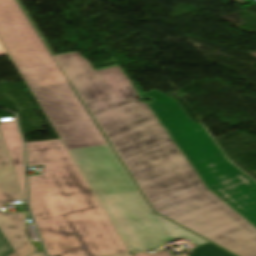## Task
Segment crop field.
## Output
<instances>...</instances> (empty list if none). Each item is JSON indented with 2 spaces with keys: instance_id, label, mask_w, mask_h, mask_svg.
I'll return each instance as SVG.
<instances>
[{
  "instance_id": "crop-field-11",
  "label": "crop field",
  "mask_w": 256,
  "mask_h": 256,
  "mask_svg": "<svg viewBox=\"0 0 256 256\" xmlns=\"http://www.w3.org/2000/svg\"><path fill=\"white\" fill-rule=\"evenodd\" d=\"M7 52L5 51V49L3 48V46L0 43V55H6Z\"/></svg>"
},
{
  "instance_id": "crop-field-4",
  "label": "crop field",
  "mask_w": 256,
  "mask_h": 256,
  "mask_svg": "<svg viewBox=\"0 0 256 256\" xmlns=\"http://www.w3.org/2000/svg\"><path fill=\"white\" fill-rule=\"evenodd\" d=\"M204 182L256 225V183L224 157L199 123L177 101L154 90L143 95Z\"/></svg>"
},
{
  "instance_id": "crop-field-9",
  "label": "crop field",
  "mask_w": 256,
  "mask_h": 256,
  "mask_svg": "<svg viewBox=\"0 0 256 256\" xmlns=\"http://www.w3.org/2000/svg\"><path fill=\"white\" fill-rule=\"evenodd\" d=\"M13 249L0 232V256H8L13 253Z\"/></svg>"
},
{
  "instance_id": "crop-field-10",
  "label": "crop field",
  "mask_w": 256,
  "mask_h": 256,
  "mask_svg": "<svg viewBox=\"0 0 256 256\" xmlns=\"http://www.w3.org/2000/svg\"><path fill=\"white\" fill-rule=\"evenodd\" d=\"M132 256H172V255L168 251L162 250L154 254L143 253V254H133ZM178 256H184V255H178Z\"/></svg>"
},
{
  "instance_id": "crop-field-1",
  "label": "crop field",
  "mask_w": 256,
  "mask_h": 256,
  "mask_svg": "<svg viewBox=\"0 0 256 256\" xmlns=\"http://www.w3.org/2000/svg\"><path fill=\"white\" fill-rule=\"evenodd\" d=\"M16 1L155 211L239 256H256V229L203 185L119 66L95 72L78 52L55 55Z\"/></svg>"
},
{
  "instance_id": "crop-field-8",
  "label": "crop field",
  "mask_w": 256,
  "mask_h": 256,
  "mask_svg": "<svg viewBox=\"0 0 256 256\" xmlns=\"http://www.w3.org/2000/svg\"><path fill=\"white\" fill-rule=\"evenodd\" d=\"M6 145L22 143L16 122L0 124Z\"/></svg>"
},
{
  "instance_id": "crop-field-13",
  "label": "crop field",
  "mask_w": 256,
  "mask_h": 256,
  "mask_svg": "<svg viewBox=\"0 0 256 256\" xmlns=\"http://www.w3.org/2000/svg\"><path fill=\"white\" fill-rule=\"evenodd\" d=\"M29 256H39V255H38V252H34V253L30 254Z\"/></svg>"
},
{
  "instance_id": "crop-field-12",
  "label": "crop field",
  "mask_w": 256,
  "mask_h": 256,
  "mask_svg": "<svg viewBox=\"0 0 256 256\" xmlns=\"http://www.w3.org/2000/svg\"><path fill=\"white\" fill-rule=\"evenodd\" d=\"M34 244L39 248L40 251L42 250V248L38 242H34Z\"/></svg>"
},
{
  "instance_id": "crop-field-5",
  "label": "crop field",
  "mask_w": 256,
  "mask_h": 256,
  "mask_svg": "<svg viewBox=\"0 0 256 256\" xmlns=\"http://www.w3.org/2000/svg\"><path fill=\"white\" fill-rule=\"evenodd\" d=\"M2 207L4 206H0ZM0 230L15 250L10 256H27L36 251L26 236L23 212L1 213L0 211Z\"/></svg>"
},
{
  "instance_id": "crop-field-14",
  "label": "crop field",
  "mask_w": 256,
  "mask_h": 256,
  "mask_svg": "<svg viewBox=\"0 0 256 256\" xmlns=\"http://www.w3.org/2000/svg\"><path fill=\"white\" fill-rule=\"evenodd\" d=\"M115 256H131L130 254L115 255Z\"/></svg>"
},
{
  "instance_id": "crop-field-2",
  "label": "crop field",
  "mask_w": 256,
  "mask_h": 256,
  "mask_svg": "<svg viewBox=\"0 0 256 256\" xmlns=\"http://www.w3.org/2000/svg\"><path fill=\"white\" fill-rule=\"evenodd\" d=\"M0 39L128 247L188 238V256H235L150 209L15 0H0Z\"/></svg>"
},
{
  "instance_id": "crop-field-3",
  "label": "crop field",
  "mask_w": 256,
  "mask_h": 256,
  "mask_svg": "<svg viewBox=\"0 0 256 256\" xmlns=\"http://www.w3.org/2000/svg\"><path fill=\"white\" fill-rule=\"evenodd\" d=\"M29 207L49 256L128 253L60 139L26 143Z\"/></svg>"
},
{
  "instance_id": "crop-field-7",
  "label": "crop field",
  "mask_w": 256,
  "mask_h": 256,
  "mask_svg": "<svg viewBox=\"0 0 256 256\" xmlns=\"http://www.w3.org/2000/svg\"><path fill=\"white\" fill-rule=\"evenodd\" d=\"M6 147H7L15 174H16V178H17L23 199L26 200L23 144L10 145Z\"/></svg>"
},
{
  "instance_id": "crop-field-15",
  "label": "crop field",
  "mask_w": 256,
  "mask_h": 256,
  "mask_svg": "<svg viewBox=\"0 0 256 256\" xmlns=\"http://www.w3.org/2000/svg\"><path fill=\"white\" fill-rule=\"evenodd\" d=\"M40 253H41V256H45V254L43 253V251H41Z\"/></svg>"
},
{
  "instance_id": "crop-field-6",
  "label": "crop field",
  "mask_w": 256,
  "mask_h": 256,
  "mask_svg": "<svg viewBox=\"0 0 256 256\" xmlns=\"http://www.w3.org/2000/svg\"><path fill=\"white\" fill-rule=\"evenodd\" d=\"M15 200L23 199L0 130V205Z\"/></svg>"
}]
</instances>
